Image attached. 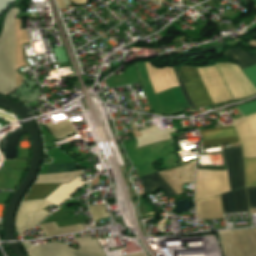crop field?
Masks as SVG:
<instances>
[{
    "mask_svg": "<svg viewBox=\"0 0 256 256\" xmlns=\"http://www.w3.org/2000/svg\"><path fill=\"white\" fill-rule=\"evenodd\" d=\"M254 102H256V100ZM254 102L249 103V104L240 105L237 107L244 114V116L247 117L248 115H250L252 113H256V104Z\"/></svg>",
    "mask_w": 256,
    "mask_h": 256,
    "instance_id": "bc2a9ffb",
    "label": "crop field"
},
{
    "mask_svg": "<svg viewBox=\"0 0 256 256\" xmlns=\"http://www.w3.org/2000/svg\"><path fill=\"white\" fill-rule=\"evenodd\" d=\"M73 3L81 5V4H85L88 2V0H72Z\"/></svg>",
    "mask_w": 256,
    "mask_h": 256,
    "instance_id": "00972430",
    "label": "crop field"
},
{
    "mask_svg": "<svg viewBox=\"0 0 256 256\" xmlns=\"http://www.w3.org/2000/svg\"><path fill=\"white\" fill-rule=\"evenodd\" d=\"M77 166L78 164L76 163L50 165L47 174L56 172H69L70 170L74 169Z\"/></svg>",
    "mask_w": 256,
    "mask_h": 256,
    "instance_id": "4a817a6b",
    "label": "crop field"
},
{
    "mask_svg": "<svg viewBox=\"0 0 256 256\" xmlns=\"http://www.w3.org/2000/svg\"><path fill=\"white\" fill-rule=\"evenodd\" d=\"M76 241L80 250L104 255L96 239L92 240L91 237L87 236L76 238Z\"/></svg>",
    "mask_w": 256,
    "mask_h": 256,
    "instance_id": "5142ce71",
    "label": "crop field"
},
{
    "mask_svg": "<svg viewBox=\"0 0 256 256\" xmlns=\"http://www.w3.org/2000/svg\"><path fill=\"white\" fill-rule=\"evenodd\" d=\"M242 256H256V234L254 230L232 231Z\"/></svg>",
    "mask_w": 256,
    "mask_h": 256,
    "instance_id": "3316defc",
    "label": "crop field"
},
{
    "mask_svg": "<svg viewBox=\"0 0 256 256\" xmlns=\"http://www.w3.org/2000/svg\"><path fill=\"white\" fill-rule=\"evenodd\" d=\"M27 252L30 256H71L68 248L61 244L34 246Z\"/></svg>",
    "mask_w": 256,
    "mask_h": 256,
    "instance_id": "d1516ede",
    "label": "crop field"
},
{
    "mask_svg": "<svg viewBox=\"0 0 256 256\" xmlns=\"http://www.w3.org/2000/svg\"><path fill=\"white\" fill-rule=\"evenodd\" d=\"M87 181H82L80 176L71 181L68 184H63L58 189H56L50 196L45 200L53 203L56 206L62 205L66 200H68L73 194H75L82 186H84Z\"/></svg>",
    "mask_w": 256,
    "mask_h": 256,
    "instance_id": "d8731c3e",
    "label": "crop field"
},
{
    "mask_svg": "<svg viewBox=\"0 0 256 256\" xmlns=\"http://www.w3.org/2000/svg\"><path fill=\"white\" fill-rule=\"evenodd\" d=\"M199 219L224 218L220 196L196 201Z\"/></svg>",
    "mask_w": 256,
    "mask_h": 256,
    "instance_id": "5a996713",
    "label": "crop field"
},
{
    "mask_svg": "<svg viewBox=\"0 0 256 256\" xmlns=\"http://www.w3.org/2000/svg\"><path fill=\"white\" fill-rule=\"evenodd\" d=\"M69 250H70L72 256H99V255H95V254H90V253L78 251V250H75V249H72V248H69ZM131 256H146V254L145 253H140V254H135V255H131Z\"/></svg>",
    "mask_w": 256,
    "mask_h": 256,
    "instance_id": "dafd665d",
    "label": "crop field"
},
{
    "mask_svg": "<svg viewBox=\"0 0 256 256\" xmlns=\"http://www.w3.org/2000/svg\"><path fill=\"white\" fill-rule=\"evenodd\" d=\"M250 208H256V187L247 188Z\"/></svg>",
    "mask_w": 256,
    "mask_h": 256,
    "instance_id": "214f88e0",
    "label": "crop field"
},
{
    "mask_svg": "<svg viewBox=\"0 0 256 256\" xmlns=\"http://www.w3.org/2000/svg\"><path fill=\"white\" fill-rule=\"evenodd\" d=\"M200 132L203 138V147L239 142L234 126L202 130Z\"/></svg>",
    "mask_w": 256,
    "mask_h": 256,
    "instance_id": "dd49c442",
    "label": "crop field"
},
{
    "mask_svg": "<svg viewBox=\"0 0 256 256\" xmlns=\"http://www.w3.org/2000/svg\"><path fill=\"white\" fill-rule=\"evenodd\" d=\"M236 129L243 144L244 157L256 158V114L236 124Z\"/></svg>",
    "mask_w": 256,
    "mask_h": 256,
    "instance_id": "f4fd0767",
    "label": "crop field"
},
{
    "mask_svg": "<svg viewBox=\"0 0 256 256\" xmlns=\"http://www.w3.org/2000/svg\"><path fill=\"white\" fill-rule=\"evenodd\" d=\"M241 69L256 63V57L245 48L237 47L224 53ZM197 68L213 104L256 94V65L240 70L237 65L220 63ZM188 83H184L197 108L211 105L196 67H181Z\"/></svg>",
    "mask_w": 256,
    "mask_h": 256,
    "instance_id": "8a807250",
    "label": "crop field"
},
{
    "mask_svg": "<svg viewBox=\"0 0 256 256\" xmlns=\"http://www.w3.org/2000/svg\"><path fill=\"white\" fill-rule=\"evenodd\" d=\"M61 184L33 185L24 201L45 199Z\"/></svg>",
    "mask_w": 256,
    "mask_h": 256,
    "instance_id": "cbeb9de0",
    "label": "crop field"
},
{
    "mask_svg": "<svg viewBox=\"0 0 256 256\" xmlns=\"http://www.w3.org/2000/svg\"><path fill=\"white\" fill-rule=\"evenodd\" d=\"M83 174L82 171L62 173V174H52V175H40L36 180L35 184L41 183H68L77 176Z\"/></svg>",
    "mask_w": 256,
    "mask_h": 256,
    "instance_id": "22f410ed",
    "label": "crop field"
},
{
    "mask_svg": "<svg viewBox=\"0 0 256 256\" xmlns=\"http://www.w3.org/2000/svg\"><path fill=\"white\" fill-rule=\"evenodd\" d=\"M89 207H90V211L94 217V220L110 217L107 212L105 204L92 205Z\"/></svg>",
    "mask_w": 256,
    "mask_h": 256,
    "instance_id": "733c2abd",
    "label": "crop field"
},
{
    "mask_svg": "<svg viewBox=\"0 0 256 256\" xmlns=\"http://www.w3.org/2000/svg\"><path fill=\"white\" fill-rule=\"evenodd\" d=\"M246 172L256 171V159H245ZM246 184L247 186L256 185V172L246 173Z\"/></svg>",
    "mask_w": 256,
    "mask_h": 256,
    "instance_id": "d9b57169",
    "label": "crop field"
},
{
    "mask_svg": "<svg viewBox=\"0 0 256 256\" xmlns=\"http://www.w3.org/2000/svg\"><path fill=\"white\" fill-rule=\"evenodd\" d=\"M19 10L8 13L4 32L0 37V94L15 89V17Z\"/></svg>",
    "mask_w": 256,
    "mask_h": 256,
    "instance_id": "34b2d1b8",
    "label": "crop field"
},
{
    "mask_svg": "<svg viewBox=\"0 0 256 256\" xmlns=\"http://www.w3.org/2000/svg\"><path fill=\"white\" fill-rule=\"evenodd\" d=\"M50 205L52 204L45 200L22 202L17 217L18 231L22 234L49 215L42 209Z\"/></svg>",
    "mask_w": 256,
    "mask_h": 256,
    "instance_id": "412701ff",
    "label": "crop field"
},
{
    "mask_svg": "<svg viewBox=\"0 0 256 256\" xmlns=\"http://www.w3.org/2000/svg\"><path fill=\"white\" fill-rule=\"evenodd\" d=\"M173 69H174V71H175V73H176V76H177L179 82H180L181 89H182V91H183V94H184V96H185V98H186L188 104H189L190 106H193V103H192V101H191V99H190V97H189V95H188V93H187V91H186V88H185V86H184V84H183V81H182V79H181V77H180V74H179L177 68L174 67Z\"/></svg>",
    "mask_w": 256,
    "mask_h": 256,
    "instance_id": "92a150f3",
    "label": "crop field"
},
{
    "mask_svg": "<svg viewBox=\"0 0 256 256\" xmlns=\"http://www.w3.org/2000/svg\"><path fill=\"white\" fill-rule=\"evenodd\" d=\"M230 187H245L242 148L223 149ZM227 172L198 170L196 200L217 196L230 190Z\"/></svg>",
    "mask_w": 256,
    "mask_h": 256,
    "instance_id": "ac0d7876",
    "label": "crop field"
},
{
    "mask_svg": "<svg viewBox=\"0 0 256 256\" xmlns=\"http://www.w3.org/2000/svg\"><path fill=\"white\" fill-rule=\"evenodd\" d=\"M57 2L61 10L66 8L63 0H57Z\"/></svg>",
    "mask_w": 256,
    "mask_h": 256,
    "instance_id": "a9b5d70f",
    "label": "crop field"
},
{
    "mask_svg": "<svg viewBox=\"0 0 256 256\" xmlns=\"http://www.w3.org/2000/svg\"><path fill=\"white\" fill-rule=\"evenodd\" d=\"M224 214L249 212L245 188L221 195Z\"/></svg>",
    "mask_w": 256,
    "mask_h": 256,
    "instance_id": "e52e79f7",
    "label": "crop field"
},
{
    "mask_svg": "<svg viewBox=\"0 0 256 256\" xmlns=\"http://www.w3.org/2000/svg\"><path fill=\"white\" fill-rule=\"evenodd\" d=\"M141 179L144 183L147 194H153L161 189L166 198L175 195L173 189L158 172L142 177Z\"/></svg>",
    "mask_w": 256,
    "mask_h": 256,
    "instance_id": "28ad6ade",
    "label": "crop field"
}]
</instances>
